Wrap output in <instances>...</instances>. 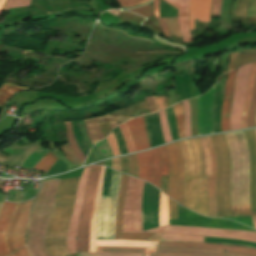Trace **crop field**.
Returning <instances> with one entry per match:
<instances>
[{"instance_id":"obj_1","label":"crop field","mask_w":256,"mask_h":256,"mask_svg":"<svg viewBox=\"0 0 256 256\" xmlns=\"http://www.w3.org/2000/svg\"><path fill=\"white\" fill-rule=\"evenodd\" d=\"M143 184V181L130 176L124 203L123 232H142L141 201ZM144 232L224 237L256 242V232L233 231L225 229L163 226Z\"/></svg>"},{"instance_id":"obj_2","label":"crop field","mask_w":256,"mask_h":256,"mask_svg":"<svg viewBox=\"0 0 256 256\" xmlns=\"http://www.w3.org/2000/svg\"><path fill=\"white\" fill-rule=\"evenodd\" d=\"M224 135L231 154V205L249 204V154L243 132ZM231 210L232 217L256 216L250 213V205L231 206Z\"/></svg>"},{"instance_id":"obj_3","label":"crop field","mask_w":256,"mask_h":256,"mask_svg":"<svg viewBox=\"0 0 256 256\" xmlns=\"http://www.w3.org/2000/svg\"><path fill=\"white\" fill-rule=\"evenodd\" d=\"M80 178L62 179L56 193L55 212L46 231V246L52 256H69L65 236Z\"/></svg>"},{"instance_id":"obj_4","label":"crop field","mask_w":256,"mask_h":256,"mask_svg":"<svg viewBox=\"0 0 256 256\" xmlns=\"http://www.w3.org/2000/svg\"><path fill=\"white\" fill-rule=\"evenodd\" d=\"M215 153L217 217H231L229 196L230 155L223 134L210 136Z\"/></svg>"},{"instance_id":"obj_5","label":"crop field","mask_w":256,"mask_h":256,"mask_svg":"<svg viewBox=\"0 0 256 256\" xmlns=\"http://www.w3.org/2000/svg\"><path fill=\"white\" fill-rule=\"evenodd\" d=\"M185 160L184 207L200 214L199 203V159L193 139L179 142Z\"/></svg>"},{"instance_id":"obj_6","label":"crop field","mask_w":256,"mask_h":256,"mask_svg":"<svg viewBox=\"0 0 256 256\" xmlns=\"http://www.w3.org/2000/svg\"><path fill=\"white\" fill-rule=\"evenodd\" d=\"M101 166H92L88 176V182L80 215L78 234H77V256L78 252H88L89 229L92 207L95 192L98 184Z\"/></svg>"},{"instance_id":"obj_7","label":"crop field","mask_w":256,"mask_h":256,"mask_svg":"<svg viewBox=\"0 0 256 256\" xmlns=\"http://www.w3.org/2000/svg\"><path fill=\"white\" fill-rule=\"evenodd\" d=\"M120 176L121 174L113 172L109 198L101 199L97 222L98 239L113 238Z\"/></svg>"},{"instance_id":"obj_8","label":"crop field","mask_w":256,"mask_h":256,"mask_svg":"<svg viewBox=\"0 0 256 256\" xmlns=\"http://www.w3.org/2000/svg\"><path fill=\"white\" fill-rule=\"evenodd\" d=\"M251 64L243 65L238 68L236 83L232 101V111L230 119V130L242 128L241 118L244 101L246 97L247 85Z\"/></svg>"},{"instance_id":"obj_9","label":"crop field","mask_w":256,"mask_h":256,"mask_svg":"<svg viewBox=\"0 0 256 256\" xmlns=\"http://www.w3.org/2000/svg\"><path fill=\"white\" fill-rule=\"evenodd\" d=\"M139 179L146 180L159 188L161 179V159L158 148L137 153Z\"/></svg>"},{"instance_id":"obj_10","label":"crop field","mask_w":256,"mask_h":256,"mask_svg":"<svg viewBox=\"0 0 256 256\" xmlns=\"http://www.w3.org/2000/svg\"><path fill=\"white\" fill-rule=\"evenodd\" d=\"M90 167H87L83 170V174L76 194L75 206L67 232V248L69 254L76 253L77 226Z\"/></svg>"},{"instance_id":"obj_11","label":"crop field","mask_w":256,"mask_h":256,"mask_svg":"<svg viewBox=\"0 0 256 256\" xmlns=\"http://www.w3.org/2000/svg\"><path fill=\"white\" fill-rule=\"evenodd\" d=\"M128 175L122 173L118 203H117V212H116V225H115V236L114 239L121 240H140V241H149L153 234L148 233H122V212H123V202L126 191V185L128 181Z\"/></svg>"},{"instance_id":"obj_12","label":"crop field","mask_w":256,"mask_h":256,"mask_svg":"<svg viewBox=\"0 0 256 256\" xmlns=\"http://www.w3.org/2000/svg\"><path fill=\"white\" fill-rule=\"evenodd\" d=\"M215 86L212 87L203 96L196 98L197 104H198L199 135L213 133V129H212V107H213Z\"/></svg>"},{"instance_id":"obj_13","label":"crop field","mask_w":256,"mask_h":256,"mask_svg":"<svg viewBox=\"0 0 256 256\" xmlns=\"http://www.w3.org/2000/svg\"><path fill=\"white\" fill-rule=\"evenodd\" d=\"M248 143L251 169H250V202L251 212H256V136L254 130L243 131Z\"/></svg>"},{"instance_id":"obj_14","label":"crop field","mask_w":256,"mask_h":256,"mask_svg":"<svg viewBox=\"0 0 256 256\" xmlns=\"http://www.w3.org/2000/svg\"><path fill=\"white\" fill-rule=\"evenodd\" d=\"M158 247L207 249V250L227 251V252H234V253L256 256V250L255 249L232 247V246H223V245H211V244H200V243L159 242Z\"/></svg>"},{"instance_id":"obj_15","label":"crop field","mask_w":256,"mask_h":256,"mask_svg":"<svg viewBox=\"0 0 256 256\" xmlns=\"http://www.w3.org/2000/svg\"><path fill=\"white\" fill-rule=\"evenodd\" d=\"M126 123L128 125L135 150L138 151L149 148L150 145L146 135L143 116L132 119Z\"/></svg>"},{"instance_id":"obj_16","label":"crop field","mask_w":256,"mask_h":256,"mask_svg":"<svg viewBox=\"0 0 256 256\" xmlns=\"http://www.w3.org/2000/svg\"><path fill=\"white\" fill-rule=\"evenodd\" d=\"M17 206L18 204L15 203L4 202L0 210V223L10 224ZM8 226L9 225L6 224H0V256H5L10 253L6 244ZM1 231H4V233L1 234Z\"/></svg>"},{"instance_id":"obj_17","label":"crop field","mask_w":256,"mask_h":256,"mask_svg":"<svg viewBox=\"0 0 256 256\" xmlns=\"http://www.w3.org/2000/svg\"><path fill=\"white\" fill-rule=\"evenodd\" d=\"M131 118H133V117L111 116L110 113H108L104 116L87 119L85 121H86L88 130L90 132L91 138L95 144L98 140L104 138L99 130L98 122H109V124L113 130L117 126L116 122H125Z\"/></svg>"},{"instance_id":"obj_18","label":"crop field","mask_w":256,"mask_h":256,"mask_svg":"<svg viewBox=\"0 0 256 256\" xmlns=\"http://www.w3.org/2000/svg\"><path fill=\"white\" fill-rule=\"evenodd\" d=\"M211 0H190L189 7V29L195 30L194 19L200 22L210 21Z\"/></svg>"},{"instance_id":"obj_19","label":"crop field","mask_w":256,"mask_h":256,"mask_svg":"<svg viewBox=\"0 0 256 256\" xmlns=\"http://www.w3.org/2000/svg\"><path fill=\"white\" fill-rule=\"evenodd\" d=\"M236 71L237 69L228 73V78H227L226 88H225V95H224V103H223V109H222V115H221L222 132L229 130L231 101H232Z\"/></svg>"},{"instance_id":"obj_20","label":"crop field","mask_w":256,"mask_h":256,"mask_svg":"<svg viewBox=\"0 0 256 256\" xmlns=\"http://www.w3.org/2000/svg\"><path fill=\"white\" fill-rule=\"evenodd\" d=\"M31 201L32 200L25 202L21 215L14 228L12 244L15 251L24 246V233L26 231V224L29 220Z\"/></svg>"},{"instance_id":"obj_21","label":"crop field","mask_w":256,"mask_h":256,"mask_svg":"<svg viewBox=\"0 0 256 256\" xmlns=\"http://www.w3.org/2000/svg\"><path fill=\"white\" fill-rule=\"evenodd\" d=\"M169 5L178 9V22L184 42H192L188 29L189 0H164Z\"/></svg>"},{"instance_id":"obj_22","label":"crop field","mask_w":256,"mask_h":256,"mask_svg":"<svg viewBox=\"0 0 256 256\" xmlns=\"http://www.w3.org/2000/svg\"><path fill=\"white\" fill-rule=\"evenodd\" d=\"M153 256H246L233 253L192 250V249H165L158 248Z\"/></svg>"},{"instance_id":"obj_23","label":"crop field","mask_w":256,"mask_h":256,"mask_svg":"<svg viewBox=\"0 0 256 256\" xmlns=\"http://www.w3.org/2000/svg\"><path fill=\"white\" fill-rule=\"evenodd\" d=\"M169 158V181L167 195L176 200L177 161L176 152L172 144L166 145Z\"/></svg>"},{"instance_id":"obj_24","label":"crop field","mask_w":256,"mask_h":256,"mask_svg":"<svg viewBox=\"0 0 256 256\" xmlns=\"http://www.w3.org/2000/svg\"><path fill=\"white\" fill-rule=\"evenodd\" d=\"M104 169H105V167L102 166L101 173H100L99 184H98L96 197H95L92 219H91L89 252H96V243H97V240H96V221H97V215H98L99 200H100L101 191H102Z\"/></svg>"},{"instance_id":"obj_25","label":"crop field","mask_w":256,"mask_h":256,"mask_svg":"<svg viewBox=\"0 0 256 256\" xmlns=\"http://www.w3.org/2000/svg\"><path fill=\"white\" fill-rule=\"evenodd\" d=\"M208 146L212 155V176H208V186H207V194H208V202H209V217L216 218V203H215V193H214V185H215V176H216V167L213 149L211 146L209 136L206 137Z\"/></svg>"},{"instance_id":"obj_26","label":"crop field","mask_w":256,"mask_h":256,"mask_svg":"<svg viewBox=\"0 0 256 256\" xmlns=\"http://www.w3.org/2000/svg\"><path fill=\"white\" fill-rule=\"evenodd\" d=\"M197 145L199 158L201 162V174H200V202H201V214L208 217V203H207V194H206V179L207 176H203V160H202V153L201 148L198 142V139H194Z\"/></svg>"},{"instance_id":"obj_27","label":"crop field","mask_w":256,"mask_h":256,"mask_svg":"<svg viewBox=\"0 0 256 256\" xmlns=\"http://www.w3.org/2000/svg\"><path fill=\"white\" fill-rule=\"evenodd\" d=\"M177 152L178 160V181H177V202L183 205V181H184V161L179 143L173 144Z\"/></svg>"},{"instance_id":"obj_28","label":"crop field","mask_w":256,"mask_h":256,"mask_svg":"<svg viewBox=\"0 0 256 256\" xmlns=\"http://www.w3.org/2000/svg\"><path fill=\"white\" fill-rule=\"evenodd\" d=\"M255 76H256V62L252 64V68H251V72H250L248 92H247V97H246L244 112H243V118H242L243 128H248L247 120H248V115H249L251 99H252Z\"/></svg>"},{"instance_id":"obj_29","label":"crop field","mask_w":256,"mask_h":256,"mask_svg":"<svg viewBox=\"0 0 256 256\" xmlns=\"http://www.w3.org/2000/svg\"><path fill=\"white\" fill-rule=\"evenodd\" d=\"M156 244L157 242L106 240V241H98L97 246L154 247V245Z\"/></svg>"},{"instance_id":"obj_30","label":"crop field","mask_w":256,"mask_h":256,"mask_svg":"<svg viewBox=\"0 0 256 256\" xmlns=\"http://www.w3.org/2000/svg\"><path fill=\"white\" fill-rule=\"evenodd\" d=\"M236 3H237V0H235L234 7H233L232 15L234 16L236 12ZM248 8H249V0H238L236 16H247ZM255 11H256V0H250V9H249L248 16L255 17Z\"/></svg>"},{"instance_id":"obj_31","label":"crop field","mask_w":256,"mask_h":256,"mask_svg":"<svg viewBox=\"0 0 256 256\" xmlns=\"http://www.w3.org/2000/svg\"><path fill=\"white\" fill-rule=\"evenodd\" d=\"M156 248H117V247H97V252L102 253H146L150 256Z\"/></svg>"},{"instance_id":"obj_32","label":"crop field","mask_w":256,"mask_h":256,"mask_svg":"<svg viewBox=\"0 0 256 256\" xmlns=\"http://www.w3.org/2000/svg\"><path fill=\"white\" fill-rule=\"evenodd\" d=\"M254 60H256V54H239V52L231 53L229 68L227 72L232 71L237 66L243 63L254 61Z\"/></svg>"},{"instance_id":"obj_33","label":"crop field","mask_w":256,"mask_h":256,"mask_svg":"<svg viewBox=\"0 0 256 256\" xmlns=\"http://www.w3.org/2000/svg\"><path fill=\"white\" fill-rule=\"evenodd\" d=\"M25 89H30L27 87H23L20 85L16 84H10V83H5L1 88H0V106H3L4 103L15 93L21 90Z\"/></svg>"},{"instance_id":"obj_34","label":"crop field","mask_w":256,"mask_h":256,"mask_svg":"<svg viewBox=\"0 0 256 256\" xmlns=\"http://www.w3.org/2000/svg\"><path fill=\"white\" fill-rule=\"evenodd\" d=\"M66 126V136L69 142L70 147L72 148L73 152L79 157V159L84 162L85 155L80 151L72 133L71 124L70 122H64Z\"/></svg>"},{"instance_id":"obj_35","label":"crop field","mask_w":256,"mask_h":256,"mask_svg":"<svg viewBox=\"0 0 256 256\" xmlns=\"http://www.w3.org/2000/svg\"><path fill=\"white\" fill-rule=\"evenodd\" d=\"M198 139H199V142L202 148V153H203L205 175H211V161H210V154H209L207 143L204 137H201Z\"/></svg>"},{"instance_id":"obj_36","label":"crop field","mask_w":256,"mask_h":256,"mask_svg":"<svg viewBox=\"0 0 256 256\" xmlns=\"http://www.w3.org/2000/svg\"><path fill=\"white\" fill-rule=\"evenodd\" d=\"M58 159L50 152L44 156L39 163L35 166V170L47 172V170L57 161Z\"/></svg>"},{"instance_id":"obj_37","label":"crop field","mask_w":256,"mask_h":256,"mask_svg":"<svg viewBox=\"0 0 256 256\" xmlns=\"http://www.w3.org/2000/svg\"><path fill=\"white\" fill-rule=\"evenodd\" d=\"M175 118H176V123H177V128L179 132V137L180 139L184 137V127H183V111L181 104L178 103L174 106H172Z\"/></svg>"},{"instance_id":"obj_38","label":"crop field","mask_w":256,"mask_h":256,"mask_svg":"<svg viewBox=\"0 0 256 256\" xmlns=\"http://www.w3.org/2000/svg\"><path fill=\"white\" fill-rule=\"evenodd\" d=\"M160 226L168 224V206H167V196L161 193L160 197V216H159Z\"/></svg>"},{"instance_id":"obj_39","label":"crop field","mask_w":256,"mask_h":256,"mask_svg":"<svg viewBox=\"0 0 256 256\" xmlns=\"http://www.w3.org/2000/svg\"><path fill=\"white\" fill-rule=\"evenodd\" d=\"M203 239L204 237H197V236L161 234V240L203 242Z\"/></svg>"},{"instance_id":"obj_40","label":"crop field","mask_w":256,"mask_h":256,"mask_svg":"<svg viewBox=\"0 0 256 256\" xmlns=\"http://www.w3.org/2000/svg\"><path fill=\"white\" fill-rule=\"evenodd\" d=\"M158 114H159L160 120H161V127H162V133H163L164 141H165V143L171 142L172 139H171V135H170V131H169L165 111L163 110V111L159 112Z\"/></svg>"},{"instance_id":"obj_41","label":"crop field","mask_w":256,"mask_h":256,"mask_svg":"<svg viewBox=\"0 0 256 256\" xmlns=\"http://www.w3.org/2000/svg\"><path fill=\"white\" fill-rule=\"evenodd\" d=\"M183 110H184V122H185V137L191 136V127H190V106L189 102L183 101Z\"/></svg>"},{"instance_id":"obj_42","label":"crop field","mask_w":256,"mask_h":256,"mask_svg":"<svg viewBox=\"0 0 256 256\" xmlns=\"http://www.w3.org/2000/svg\"><path fill=\"white\" fill-rule=\"evenodd\" d=\"M159 3H160V0H154V12H155V17L158 18L159 20V23L162 27V30L164 32V34L168 37H171L170 36V32H169V29H168V26H167V22H166V19L165 18H160V12H159Z\"/></svg>"},{"instance_id":"obj_43","label":"crop field","mask_w":256,"mask_h":256,"mask_svg":"<svg viewBox=\"0 0 256 256\" xmlns=\"http://www.w3.org/2000/svg\"><path fill=\"white\" fill-rule=\"evenodd\" d=\"M124 138H125V141H126V144H127V149H128V153L130 152H134V147H133V144H132V140H131V137H130V134H129V131H128V128L126 126V124H122L119 126Z\"/></svg>"},{"instance_id":"obj_44","label":"crop field","mask_w":256,"mask_h":256,"mask_svg":"<svg viewBox=\"0 0 256 256\" xmlns=\"http://www.w3.org/2000/svg\"><path fill=\"white\" fill-rule=\"evenodd\" d=\"M30 0H7L3 10L8 11L11 8L29 6Z\"/></svg>"},{"instance_id":"obj_45","label":"crop field","mask_w":256,"mask_h":256,"mask_svg":"<svg viewBox=\"0 0 256 256\" xmlns=\"http://www.w3.org/2000/svg\"><path fill=\"white\" fill-rule=\"evenodd\" d=\"M23 204H24V203H23ZM23 204H20V205H19V207H18V209H17V211H16V213H15L13 219H12V222H11V225H10V227H9V230H8L7 244H8V246H9V249H10L11 252H13L12 245H11V235H12V231H13L14 224H15V222H16V220H17V218H18V216H19V214H20V212H21V209H22Z\"/></svg>"},{"instance_id":"obj_46","label":"crop field","mask_w":256,"mask_h":256,"mask_svg":"<svg viewBox=\"0 0 256 256\" xmlns=\"http://www.w3.org/2000/svg\"><path fill=\"white\" fill-rule=\"evenodd\" d=\"M128 157V161H129V174L136 177L138 175V162L136 159V155H129Z\"/></svg>"},{"instance_id":"obj_47","label":"crop field","mask_w":256,"mask_h":256,"mask_svg":"<svg viewBox=\"0 0 256 256\" xmlns=\"http://www.w3.org/2000/svg\"><path fill=\"white\" fill-rule=\"evenodd\" d=\"M60 148L70 161H72L76 165H82V162L74 155L67 143L60 146Z\"/></svg>"},{"instance_id":"obj_48","label":"crop field","mask_w":256,"mask_h":256,"mask_svg":"<svg viewBox=\"0 0 256 256\" xmlns=\"http://www.w3.org/2000/svg\"><path fill=\"white\" fill-rule=\"evenodd\" d=\"M166 19H167V22H168V25H169L171 35L174 36V37L181 38L180 33H179V29H178L177 18L176 17H171V18H166Z\"/></svg>"},{"instance_id":"obj_49","label":"crop field","mask_w":256,"mask_h":256,"mask_svg":"<svg viewBox=\"0 0 256 256\" xmlns=\"http://www.w3.org/2000/svg\"><path fill=\"white\" fill-rule=\"evenodd\" d=\"M128 11L138 13V14L144 15L149 18H152V16H153V7L149 6V5H145L143 7L128 10Z\"/></svg>"},{"instance_id":"obj_50","label":"crop field","mask_w":256,"mask_h":256,"mask_svg":"<svg viewBox=\"0 0 256 256\" xmlns=\"http://www.w3.org/2000/svg\"><path fill=\"white\" fill-rule=\"evenodd\" d=\"M255 109H256V82H255L253 99H252L251 110H250L249 121H248L249 128L253 127Z\"/></svg>"},{"instance_id":"obj_51","label":"crop field","mask_w":256,"mask_h":256,"mask_svg":"<svg viewBox=\"0 0 256 256\" xmlns=\"http://www.w3.org/2000/svg\"><path fill=\"white\" fill-rule=\"evenodd\" d=\"M160 155L162 159V175H168V159L165 151V147H160Z\"/></svg>"},{"instance_id":"obj_52","label":"crop field","mask_w":256,"mask_h":256,"mask_svg":"<svg viewBox=\"0 0 256 256\" xmlns=\"http://www.w3.org/2000/svg\"><path fill=\"white\" fill-rule=\"evenodd\" d=\"M149 0H118L123 8L138 6L148 2Z\"/></svg>"},{"instance_id":"obj_53","label":"crop field","mask_w":256,"mask_h":256,"mask_svg":"<svg viewBox=\"0 0 256 256\" xmlns=\"http://www.w3.org/2000/svg\"><path fill=\"white\" fill-rule=\"evenodd\" d=\"M150 113L159 111L155 96L145 97Z\"/></svg>"},{"instance_id":"obj_54","label":"crop field","mask_w":256,"mask_h":256,"mask_svg":"<svg viewBox=\"0 0 256 256\" xmlns=\"http://www.w3.org/2000/svg\"><path fill=\"white\" fill-rule=\"evenodd\" d=\"M79 256H145V254H102V253H79Z\"/></svg>"},{"instance_id":"obj_55","label":"crop field","mask_w":256,"mask_h":256,"mask_svg":"<svg viewBox=\"0 0 256 256\" xmlns=\"http://www.w3.org/2000/svg\"><path fill=\"white\" fill-rule=\"evenodd\" d=\"M168 200H169V219H178L176 203L172 201L170 198H168Z\"/></svg>"},{"instance_id":"obj_56","label":"crop field","mask_w":256,"mask_h":256,"mask_svg":"<svg viewBox=\"0 0 256 256\" xmlns=\"http://www.w3.org/2000/svg\"><path fill=\"white\" fill-rule=\"evenodd\" d=\"M107 140H108V142H109V144H110V147H111V149H112L114 155H115V156H116V155H119V154H120L119 148H118V145H117V143H116V140H115V138H114L113 133H111V135L107 138Z\"/></svg>"},{"instance_id":"obj_57","label":"crop field","mask_w":256,"mask_h":256,"mask_svg":"<svg viewBox=\"0 0 256 256\" xmlns=\"http://www.w3.org/2000/svg\"><path fill=\"white\" fill-rule=\"evenodd\" d=\"M221 2H222V0H214L213 5H212V14H211V16H219Z\"/></svg>"},{"instance_id":"obj_58","label":"crop field","mask_w":256,"mask_h":256,"mask_svg":"<svg viewBox=\"0 0 256 256\" xmlns=\"http://www.w3.org/2000/svg\"><path fill=\"white\" fill-rule=\"evenodd\" d=\"M121 171L125 172L128 174V161H127V157H121Z\"/></svg>"},{"instance_id":"obj_59","label":"crop field","mask_w":256,"mask_h":256,"mask_svg":"<svg viewBox=\"0 0 256 256\" xmlns=\"http://www.w3.org/2000/svg\"><path fill=\"white\" fill-rule=\"evenodd\" d=\"M112 168L120 171L119 158L112 160Z\"/></svg>"},{"instance_id":"obj_60","label":"crop field","mask_w":256,"mask_h":256,"mask_svg":"<svg viewBox=\"0 0 256 256\" xmlns=\"http://www.w3.org/2000/svg\"><path fill=\"white\" fill-rule=\"evenodd\" d=\"M156 98H157V100H158L160 110L163 109V108H165L166 105H165V101H164V96L156 97Z\"/></svg>"},{"instance_id":"obj_61","label":"crop field","mask_w":256,"mask_h":256,"mask_svg":"<svg viewBox=\"0 0 256 256\" xmlns=\"http://www.w3.org/2000/svg\"><path fill=\"white\" fill-rule=\"evenodd\" d=\"M17 252L20 254V256H29L25 247L18 250Z\"/></svg>"},{"instance_id":"obj_62","label":"crop field","mask_w":256,"mask_h":256,"mask_svg":"<svg viewBox=\"0 0 256 256\" xmlns=\"http://www.w3.org/2000/svg\"><path fill=\"white\" fill-rule=\"evenodd\" d=\"M252 219H253L254 228L256 229V217H252Z\"/></svg>"},{"instance_id":"obj_63","label":"crop field","mask_w":256,"mask_h":256,"mask_svg":"<svg viewBox=\"0 0 256 256\" xmlns=\"http://www.w3.org/2000/svg\"><path fill=\"white\" fill-rule=\"evenodd\" d=\"M4 1H5V0H0V10H1V8L3 7Z\"/></svg>"},{"instance_id":"obj_64","label":"crop field","mask_w":256,"mask_h":256,"mask_svg":"<svg viewBox=\"0 0 256 256\" xmlns=\"http://www.w3.org/2000/svg\"><path fill=\"white\" fill-rule=\"evenodd\" d=\"M254 127H256V114H255V120H254Z\"/></svg>"},{"instance_id":"obj_65","label":"crop field","mask_w":256,"mask_h":256,"mask_svg":"<svg viewBox=\"0 0 256 256\" xmlns=\"http://www.w3.org/2000/svg\"><path fill=\"white\" fill-rule=\"evenodd\" d=\"M15 256H19L17 252L13 253Z\"/></svg>"},{"instance_id":"obj_66","label":"crop field","mask_w":256,"mask_h":256,"mask_svg":"<svg viewBox=\"0 0 256 256\" xmlns=\"http://www.w3.org/2000/svg\"><path fill=\"white\" fill-rule=\"evenodd\" d=\"M9 256H14L13 254L9 255Z\"/></svg>"},{"instance_id":"obj_67","label":"crop field","mask_w":256,"mask_h":256,"mask_svg":"<svg viewBox=\"0 0 256 256\" xmlns=\"http://www.w3.org/2000/svg\"><path fill=\"white\" fill-rule=\"evenodd\" d=\"M2 203H0V207H1Z\"/></svg>"}]
</instances>
